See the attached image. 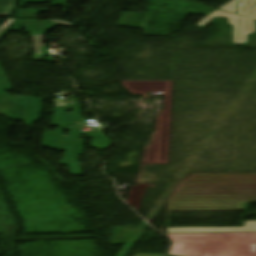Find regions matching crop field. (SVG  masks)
<instances>
[{"label":"crop field","instance_id":"e52e79f7","mask_svg":"<svg viewBox=\"0 0 256 256\" xmlns=\"http://www.w3.org/2000/svg\"><path fill=\"white\" fill-rule=\"evenodd\" d=\"M1 68V67H0ZM1 70H2V68H1ZM2 72H3V70H2ZM3 74H4V72H3ZM4 76H5V74H4ZM6 77V76H5ZM7 79V78H6ZM8 81V80H7ZM9 83V82H8ZM10 85V84H9ZM11 87V86H10ZM12 89V88H11Z\"/></svg>","mask_w":256,"mask_h":256},{"label":"crop field","instance_id":"d8731c3e","mask_svg":"<svg viewBox=\"0 0 256 256\" xmlns=\"http://www.w3.org/2000/svg\"><path fill=\"white\" fill-rule=\"evenodd\" d=\"M168 256H171V255H168Z\"/></svg>","mask_w":256,"mask_h":256},{"label":"crop field","instance_id":"f4fd0767","mask_svg":"<svg viewBox=\"0 0 256 256\" xmlns=\"http://www.w3.org/2000/svg\"><path fill=\"white\" fill-rule=\"evenodd\" d=\"M187 243H173L168 254L181 256Z\"/></svg>","mask_w":256,"mask_h":256},{"label":"crop field","instance_id":"412701ff","mask_svg":"<svg viewBox=\"0 0 256 256\" xmlns=\"http://www.w3.org/2000/svg\"><path fill=\"white\" fill-rule=\"evenodd\" d=\"M15 0H0V17L9 16L14 8Z\"/></svg>","mask_w":256,"mask_h":256},{"label":"crop field","instance_id":"ac0d7876","mask_svg":"<svg viewBox=\"0 0 256 256\" xmlns=\"http://www.w3.org/2000/svg\"><path fill=\"white\" fill-rule=\"evenodd\" d=\"M232 1V0H231ZM242 3V5H238ZM220 9L227 10L237 15L223 11H215L201 20L198 26H205L215 17H227L229 24L233 25V43H247V35L255 31L256 0H233Z\"/></svg>","mask_w":256,"mask_h":256},{"label":"crop field","instance_id":"dd49c442","mask_svg":"<svg viewBox=\"0 0 256 256\" xmlns=\"http://www.w3.org/2000/svg\"><path fill=\"white\" fill-rule=\"evenodd\" d=\"M70 106L74 105L73 101H69ZM68 106L66 102H54V107Z\"/></svg>","mask_w":256,"mask_h":256},{"label":"crop field","instance_id":"8a807250","mask_svg":"<svg viewBox=\"0 0 256 256\" xmlns=\"http://www.w3.org/2000/svg\"><path fill=\"white\" fill-rule=\"evenodd\" d=\"M173 242H188L182 256H256V233L167 234Z\"/></svg>","mask_w":256,"mask_h":256},{"label":"crop field","instance_id":"34b2d1b8","mask_svg":"<svg viewBox=\"0 0 256 256\" xmlns=\"http://www.w3.org/2000/svg\"><path fill=\"white\" fill-rule=\"evenodd\" d=\"M168 232H256V221H245L244 227L167 228Z\"/></svg>","mask_w":256,"mask_h":256}]
</instances>
